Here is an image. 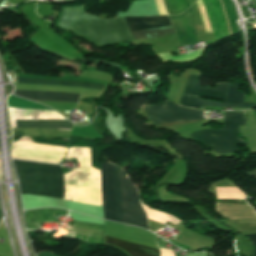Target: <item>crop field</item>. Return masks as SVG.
Wrapping results in <instances>:
<instances>
[{
	"label": "crop field",
	"instance_id": "8a807250",
	"mask_svg": "<svg viewBox=\"0 0 256 256\" xmlns=\"http://www.w3.org/2000/svg\"><path fill=\"white\" fill-rule=\"evenodd\" d=\"M102 194L104 215L106 219L135 225L148 229L147 217L137 194V189L127 180L126 174L120 169L121 197L119 168L112 164H102Z\"/></svg>",
	"mask_w": 256,
	"mask_h": 256
},
{
	"label": "crop field",
	"instance_id": "ac0d7876",
	"mask_svg": "<svg viewBox=\"0 0 256 256\" xmlns=\"http://www.w3.org/2000/svg\"><path fill=\"white\" fill-rule=\"evenodd\" d=\"M13 163L23 194L64 199L65 187L60 166L16 160Z\"/></svg>",
	"mask_w": 256,
	"mask_h": 256
},
{
	"label": "crop field",
	"instance_id": "34b2d1b8",
	"mask_svg": "<svg viewBox=\"0 0 256 256\" xmlns=\"http://www.w3.org/2000/svg\"><path fill=\"white\" fill-rule=\"evenodd\" d=\"M246 111H226L224 128L222 130H208L191 133L190 136L199 141L206 148H212L218 154L239 151L237 145H247L236 135L239 125H245Z\"/></svg>",
	"mask_w": 256,
	"mask_h": 256
},
{
	"label": "crop field",
	"instance_id": "412701ff",
	"mask_svg": "<svg viewBox=\"0 0 256 256\" xmlns=\"http://www.w3.org/2000/svg\"><path fill=\"white\" fill-rule=\"evenodd\" d=\"M72 32L98 47L133 39L124 18L76 23Z\"/></svg>",
	"mask_w": 256,
	"mask_h": 256
},
{
	"label": "crop field",
	"instance_id": "f4fd0767",
	"mask_svg": "<svg viewBox=\"0 0 256 256\" xmlns=\"http://www.w3.org/2000/svg\"><path fill=\"white\" fill-rule=\"evenodd\" d=\"M18 83L26 84H43V85H61V86H78V87H95L103 88L105 83L98 82H83V81H68V80H53V79H38V78H23L16 77ZM14 94L28 98L33 101H57V102H78L80 94L66 93L57 91H47L29 88L16 87Z\"/></svg>",
	"mask_w": 256,
	"mask_h": 256
},
{
	"label": "crop field",
	"instance_id": "dd49c442",
	"mask_svg": "<svg viewBox=\"0 0 256 256\" xmlns=\"http://www.w3.org/2000/svg\"><path fill=\"white\" fill-rule=\"evenodd\" d=\"M200 76L189 75L187 89L181 100V105L200 108V106H215V107H246L254 108L255 103H236L226 101L228 85L229 83L217 84V86L212 89L210 87H202L199 84ZM200 96L215 98L222 100L224 103L210 102L200 100Z\"/></svg>",
	"mask_w": 256,
	"mask_h": 256
},
{
	"label": "crop field",
	"instance_id": "e52e79f7",
	"mask_svg": "<svg viewBox=\"0 0 256 256\" xmlns=\"http://www.w3.org/2000/svg\"><path fill=\"white\" fill-rule=\"evenodd\" d=\"M144 108L149 114L153 124L204 119L202 116L203 112L182 108L170 101H165L160 105L146 106Z\"/></svg>",
	"mask_w": 256,
	"mask_h": 256
},
{
	"label": "crop field",
	"instance_id": "d8731c3e",
	"mask_svg": "<svg viewBox=\"0 0 256 256\" xmlns=\"http://www.w3.org/2000/svg\"><path fill=\"white\" fill-rule=\"evenodd\" d=\"M130 30L171 24L168 16L163 17H127ZM134 39L153 38L174 33L172 25L131 31Z\"/></svg>",
	"mask_w": 256,
	"mask_h": 256
},
{
	"label": "crop field",
	"instance_id": "5a996713",
	"mask_svg": "<svg viewBox=\"0 0 256 256\" xmlns=\"http://www.w3.org/2000/svg\"><path fill=\"white\" fill-rule=\"evenodd\" d=\"M8 105L9 108L53 111L42 105L13 96H9ZM72 126L73 124L70 122L12 121L13 129H71Z\"/></svg>",
	"mask_w": 256,
	"mask_h": 256
},
{
	"label": "crop field",
	"instance_id": "3316defc",
	"mask_svg": "<svg viewBox=\"0 0 256 256\" xmlns=\"http://www.w3.org/2000/svg\"><path fill=\"white\" fill-rule=\"evenodd\" d=\"M181 46L197 43L191 8L179 16H169Z\"/></svg>",
	"mask_w": 256,
	"mask_h": 256
},
{
	"label": "crop field",
	"instance_id": "28ad6ade",
	"mask_svg": "<svg viewBox=\"0 0 256 256\" xmlns=\"http://www.w3.org/2000/svg\"><path fill=\"white\" fill-rule=\"evenodd\" d=\"M203 1L208 12V16L211 22L214 35H215V39L218 40L224 36L230 35L229 34L230 28L228 31V26L225 19L226 13L224 15V11L222 8L223 5L221 6L222 2L220 4L219 0H203ZM227 22H228V19H227Z\"/></svg>",
	"mask_w": 256,
	"mask_h": 256
},
{
	"label": "crop field",
	"instance_id": "d1516ede",
	"mask_svg": "<svg viewBox=\"0 0 256 256\" xmlns=\"http://www.w3.org/2000/svg\"><path fill=\"white\" fill-rule=\"evenodd\" d=\"M104 243L116 245L130 256H160L158 247L104 236Z\"/></svg>",
	"mask_w": 256,
	"mask_h": 256
},
{
	"label": "crop field",
	"instance_id": "22f410ed",
	"mask_svg": "<svg viewBox=\"0 0 256 256\" xmlns=\"http://www.w3.org/2000/svg\"><path fill=\"white\" fill-rule=\"evenodd\" d=\"M91 19H103L85 14L84 6L73 8H62L61 14L57 21V26L69 30L72 25L78 21L91 20Z\"/></svg>",
	"mask_w": 256,
	"mask_h": 256
},
{
	"label": "crop field",
	"instance_id": "cbeb9de0",
	"mask_svg": "<svg viewBox=\"0 0 256 256\" xmlns=\"http://www.w3.org/2000/svg\"><path fill=\"white\" fill-rule=\"evenodd\" d=\"M169 15H178L185 11L189 5L187 0H164Z\"/></svg>",
	"mask_w": 256,
	"mask_h": 256
},
{
	"label": "crop field",
	"instance_id": "5142ce71",
	"mask_svg": "<svg viewBox=\"0 0 256 256\" xmlns=\"http://www.w3.org/2000/svg\"><path fill=\"white\" fill-rule=\"evenodd\" d=\"M239 85L230 83L227 100L243 102L244 94L238 92Z\"/></svg>",
	"mask_w": 256,
	"mask_h": 256
},
{
	"label": "crop field",
	"instance_id": "d9b57169",
	"mask_svg": "<svg viewBox=\"0 0 256 256\" xmlns=\"http://www.w3.org/2000/svg\"><path fill=\"white\" fill-rule=\"evenodd\" d=\"M247 237H249L252 242L254 243V246H255V254L254 256H256V234H253V235H246Z\"/></svg>",
	"mask_w": 256,
	"mask_h": 256
},
{
	"label": "crop field",
	"instance_id": "733c2abd",
	"mask_svg": "<svg viewBox=\"0 0 256 256\" xmlns=\"http://www.w3.org/2000/svg\"><path fill=\"white\" fill-rule=\"evenodd\" d=\"M249 176H255L256 177V170L255 172H252V173H248Z\"/></svg>",
	"mask_w": 256,
	"mask_h": 256
},
{
	"label": "crop field",
	"instance_id": "4a817a6b",
	"mask_svg": "<svg viewBox=\"0 0 256 256\" xmlns=\"http://www.w3.org/2000/svg\"><path fill=\"white\" fill-rule=\"evenodd\" d=\"M1 216H2V212H1V208H0V218H1Z\"/></svg>",
	"mask_w": 256,
	"mask_h": 256
}]
</instances>
